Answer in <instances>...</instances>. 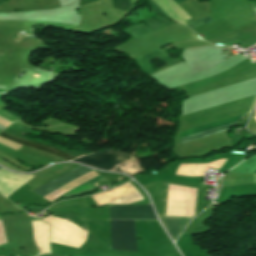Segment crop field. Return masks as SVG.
<instances>
[{
	"label": "crop field",
	"mask_w": 256,
	"mask_h": 256,
	"mask_svg": "<svg viewBox=\"0 0 256 256\" xmlns=\"http://www.w3.org/2000/svg\"><path fill=\"white\" fill-rule=\"evenodd\" d=\"M91 171L92 170L82 166V167H80V168H78V169H76V170H74V171H72V172H70V173H68V174H66V175H64V176H62V177L52 181V182H50L49 184H47V185H45V186H43V187L33 191V192L43 197V196H45V195H47V194H49V193L59 189L60 187H62L64 185H66V184L76 180L77 178H79V177H81V176H83V175H85V174H87V173H89ZM97 176H99V175L96 174L93 171V172H91V173H89V174H87V175L77 179L76 181H74V182H72V183H70V184L60 188L59 190H57V191H55V192L45 196L44 198H46L47 200L51 201V200L55 199L56 197L60 196L61 194L65 193V192H67V191H69V190H71V189H73V188H75V187H77V186H79V185H81V184H83V183H85V182H87V181L97 177ZM100 181H108V180H106L103 177L99 176V177H97V178H95V179H93V180H91V181H89V182H87V183H85V184H83V185H81V186H79V187H77V188H75V189H73V190L63 194V196L79 194V193H82V192L94 189L95 185H94L93 182H100Z\"/></svg>",
	"instance_id": "crop-field-1"
},
{
	"label": "crop field",
	"mask_w": 256,
	"mask_h": 256,
	"mask_svg": "<svg viewBox=\"0 0 256 256\" xmlns=\"http://www.w3.org/2000/svg\"><path fill=\"white\" fill-rule=\"evenodd\" d=\"M110 219H156L150 205L110 206Z\"/></svg>",
	"instance_id": "crop-field-4"
},
{
	"label": "crop field",
	"mask_w": 256,
	"mask_h": 256,
	"mask_svg": "<svg viewBox=\"0 0 256 256\" xmlns=\"http://www.w3.org/2000/svg\"><path fill=\"white\" fill-rule=\"evenodd\" d=\"M1 137H4L6 139H9L11 141H14L16 143H19L21 145H24V146H27V147H31V148H35V149H38V150H41V151H44V152H48V153H51V154H54V155H57L59 157H62L66 160H70V159H74L73 157L63 153V152H60L54 148H50V147H46V146H42V145H38V144H35V143H32V142H29V141H26V140H23V139H20V138H17V137H13V136H9L5 133H1L0 134Z\"/></svg>",
	"instance_id": "crop-field-6"
},
{
	"label": "crop field",
	"mask_w": 256,
	"mask_h": 256,
	"mask_svg": "<svg viewBox=\"0 0 256 256\" xmlns=\"http://www.w3.org/2000/svg\"><path fill=\"white\" fill-rule=\"evenodd\" d=\"M223 162H224V160L222 161V163H221V165H220V167H219V170H220V168H221V166H222Z\"/></svg>",
	"instance_id": "crop-field-9"
},
{
	"label": "crop field",
	"mask_w": 256,
	"mask_h": 256,
	"mask_svg": "<svg viewBox=\"0 0 256 256\" xmlns=\"http://www.w3.org/2000/svg\"><path fill=\"white\" fill-rule=\"evenodd\" d=\"M210 21H212V19L207 17V18H204V19H201V20L189 23V26L191 27V29H193L195 27H198V26L203 25V24H205L207 22H210Z\"/></svg>",
	"instance_id": "crop-field-8"
},
{
	"label": "crop field",
	"mask_w": 256,
	"mask_h": 256,
	"mask_svg": "<svg viewBox=\"0 0 256 256\" xmlns=\"http://www.w3.org/2000/svg\"><path fill=\"white\" fill-rule=\"evenodd\" d=\"M1 168V167H0Z\"/></svg>",
	"instance_id": "crop-field-10"
},
{
	"label": "crop field",
	"mask_w": 256,
	"mask_h": 256,
	"mask_svg": "<svg viewBox=\"0 0 256 256\" xmlns=\"http://www.w3.org/2000/svg\"><path fill=\"white\" fill-rule=\"evenodd\" d=\"M114 249L136 251L134 220H112Z\"/></svg>",
	"instance_id": "crop-field-3"
},
{
	"label": "crop field",
	"mask_w": 256,
	"mask_h": 256,
	"mask_svg": "<svg viewBox=\"0 0 256 256\" xmlns=\"http://www.w3.org/2000/svg\"><path fill=\"white\" fill-rule=\"evenodd\" d=\"M241 116H243V115L236 116V117L229 118V119H225V120L218 121V122H214V123H211V124L203 125V126H200V127L192 128V129H189V130L181 131L180 132V138L185 137V136H189V135L201 132V131H205V130H208V129H211V128H214V127H217V126H221V125H224V124H227V123L235 122ZM233 124L234 123L227 124V125H224V126H221V127H217V128L205 131V132H201V133L189 136V137L182 138L181 139V144L185 143V142L195 140V139H198V138H202V137H205V136H208V135H212V134H215V133H218V132H221V131L228 130L232 127Z\"/></svg>",
	"instance_id": "crop-field-5"
},
{
	"label": "crop field",
	"mask_w": 256,
	"mask_h": 256,
	"mask_svg": "<svg viewBox=\"0 0 256 256\" xmlns=\"http://www.w3.org/2000/svg\"><path fill=\"white\" fill-rule=\"evenodd\" d=\"M113 6L116 9L127 11L131 6L130 0H112Z\"/></svg>",
	"instance_id": "crop-field-7"
},
{
	"label": "crop field",
	"mask_w": 256,
	"mask_h": 256,
	"mask_svg": "<svg viewBox=\"0 0 256 256\" xmlns=\"http://www.w3.org/2000/svg\"><path fill=\"white\" fill-rule=\"evenodd\" d=\"M133 159V157H130L120 151L103 150L72 161L85 163L89 166L104 170L117 171L121 173L124 171L131 176L140 172H145L134 163Z\"/></svg>",
	"instance_id": "crop-field-2"
}]
</instances>
